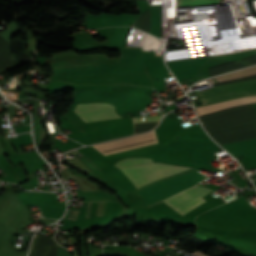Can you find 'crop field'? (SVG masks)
I'll use <instances>...</instances> for the list:
<instances>
[{
	"instance_id": "crop-field-2",
	"label": "crop field",
	"mask_w": 256,
	"mask_h": 256,
	"mask_svg": "<svg viewBox=\"0 0 256 256\" xmlns=\"http://www.w3.org/2000/svg\"><path fill=\"white\" fill-rule=\"evenodd\" d=\"M120 169L138 188L146 183L167 177L169 175L190 168L172 166L167 164L150 163L138 166L121 167Z\"/></svg>"
},
{
	"instance_id": "crop-field-11",
	"label": "crop field",
	"mask_w": 256,
	"mask_h": 256,
	"mask_svg": "<svg viewBox=\"0 0 256 256\" xmlns=\"http://www.w3.org/2000/svg\"><path fill=\"white\" fill-rule=\"evenodd\" d=\"M90 204H91V202H89V204H88V210H87V216H86V218H88V216H89ZM103 204H104V202H99L97 216H100V215H101V213H102V208H103Z\"/></svg>"
},
{
	"instance_id": "crop-field-3",
	"label": "crop field",
	"mask_w": 256,
	"mask_h": 256,
	"mask_svg": "<svg viewBox=\"0 0 256 256\" xmlns=\"http://www.w3.org/2000/svg\"><path fill=\"white\" fill-rule=\"evenodd\" d=\"M251 94H256V80L232 83L197 92L202 105Z\"/></svg>"
},
{
	"instance_id": "crop-field-12",
	"label": "crop field",
	"mask_w": 256,
	"mask_h": 256,
	"mask_svg": "<svg viewBox=\"0 0 256 256\" xmlns=\"http://www.w3.org/2000/svg\"><path fill=\"white\" fill-rule=\"evenodd\" d=\"M78 211H79V210H71V212H70L68 218L75 220L76 217H77V215H78Z\"/></svg>"
},
{
	"instance_id": "crop-field-4",
	"label": "crop field",
	"mask_w": 256,
	"mask_h": 256,
	"mask_svg": "<svg viewBox=\"0 0 256 256\" xmlns=\"http://www.w3.org/2000/svg\"><path fill=\"white\" fill-rule=\"evenodd\" d=\"M211 191L212 190L195 185L164 202L183 215L205 202L201 197Z\"/></svg>"
},
{
	"instance_id": "crop-field-8",
	"label": "crop field",
	"mask_w": 256,
	"mask_h": 256,
	"mask_svg": "<svg viewBox=\"0 0 256 256\" xmlns=\"http://www.w3.org/2000/svg\"><path fill=\"white\" fill-rule=\"evenodd\" d=\"M147 162H152L151 159H145V158H128L122 161L117 162L116 166H123V165H138L143 164Z\"/></svg>"
},
{
	"instance_id": "crop-field-9",
	"label": "crop field",
	"mask_w": 256,
	"mask_h": 256,
	"mask_svg": "<svg viewBox=\"0 0 256 256\" xmlns=\"http://www.w3.org/2000/svg\"><path fill=\"white\" fill-rule=\"evenodd\" d=\"M220 0H178V6L219 3Z\"/></svg>"
},
{
	"instance_id": "crop-field-1",
	"label": "crop field",
	"mask_w": 256,
	"mask_h": 256,
	"mask_svg": "<svg viewBox=\"0 0 256 256\" xmlns=\"http://www.w3.org/2000/svg\"><path fill=\"white\" fill-rule=\"evenodd\" d=\"M204 178L206 177L202 174L190 169L157 182L146 184L136 191L146 205L150 207L193 186Z\"/></svg>"
},
{
	"instance_id": "crop-field-5",
	"label": "crop field",
	"mask_w": 256,
	"mask_h": 256,
	"mask_svg": "<svg viewBox=\"0 0 256 256\" xmlns=\"http://www.w3.org/2000/svg\"><path fill=\"white\" fill-rule=\"evenodd\" d=\"M111 111H114V106H111L110 104H104V103L77 104L76 107L74 108V112L78 116L111 112ZM117 117H120V116H118L115 112H111V113H104V114H97V115L82 116L80 118L85 122H89V121L110 119V118H117Z\"/></svg>"
},
{
	"instance_id": "crop-field-7",
	"label": "crop field",
	"mask_w": 256,
	"mask_h": 256,
	"mask_svg": "<svg viewBox=\"0 0 256 256\" xmlns=\"http://www.w3.org/2000/svg\"><path fill=\"white\" fill-rule=\"evenodd\" d=\"M255 74H256V66H253V67H250V68H247V69H243V70H240V71L228 73V74L213 77V78L216 81L220 82V81L231 80V79L246 77V76L255 75ZM214 79L210 78V80L212 82L216 83V81Z\"/></svg>"
},
{
	"instance_id": "crop-field-10",
	"label": "crop field",
	"mask_w": 256,
	"mask_h": 256,
	"mask_svg": "<svg viewBox=\"0 0 256 256\" xmlns=\"http://www.w3.org/2000/svg\"><path fill=\"white\" fill-rule=\"evenodd\" d=\"M161 116H152V117H143V118H132L133 123L139 122H152V121H159Z\"/></svg>"
},
{
	"instance_id": "crop-field-6",
	"label": "crop field",
	"mask_w": 256,
	"mask_h": 256,
	"mask_svg": "<svg viewBox=\"0 0 256 256\" xmlns=\"http://www.w3.org/2000/svg\"><path fill=\"white\" fill-rule=\"evenodd\" d=\"M252 102H256V95L223 101V102L215 103V104L204 106V107H199L196 109L198 111V115L200 116V115L207 114L220 109L243 105V104L252 103Z\"/></svg>"
}]
</instances>
